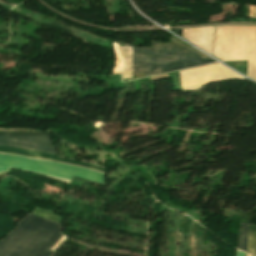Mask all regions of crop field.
Masks as SVG:
<instances>
[{
    "mask_svg": "<svg viewBox=\"0 0 256 256\" xmlns=\"http://www.w3.org/2000/svg\"><path fill=\"white\" fill-rule=\"evenodd\" d=\"M236 256H244V253L238 250Z\"/></svg>",
    "mask_w": 256,
    "mask_h": 256,
    "instance_id": "d8731c3e",
    "label": "crop field"
},
{
    "mask_svg": "<svg viewBox=\"0 0 256 256\" xmlns=\"http://www.w3.org/2000/svg\"><path fill=\"white\" fill-rule=\"evenodd\" d=\"M248 224L241 223L237 248L246 252Z\"/></svg>",
    "mask_w": 256,
    "mask_h": 256,
    "instance_id": "e52e79f7",
    "label": "crop field"
},
{
    "mask_svg": "<svg viewBox=\"0 0 256 256\" xmlns=\"http://www.w3.org/2000/svg\"><path fill=\"white\" fill-rule=\"evenodd\" d=\"M66 239L60 224L30 214L0 240V256H52Z\"/></svg>",
    "mask_w": 256,
    "mask_h": 256,
    "instance_id": "8a807250",
    "label": "crop field"
},
{
    "mask_svg": "<svg viewBox=\"0 0 256 256\" xmlns=\"http://www.w3.org/2000/svg\"><path fill=\"white\" fill-rule=\"evenodd\" d=\"M0 145L54 153V146L50 140L49 131L39 133H10L0 132ZM0 153L15 154L19 156L33 157V158H45L57 162L69 163L85 168L105 172V168H101L95 165L73 161L69 159L59 158L53 154L11 148L0 146Z\"/></svg>",
    "mask_w": 256,
    "mask_h": 256,
    "instance_id": "34b2d1b8",
    "label": "crop field"
},
{
    "mask_svg": "<svg viewBox=\"0 0 256 256\" xmlns=\"http://www.w3.org/2000/svg\"><path fill=\"white\" fill-rule=\"evenodd\" d=\"M247 252L256 255V225L249 224Z\"/></svg>",
    "mask_w": 256,
    "mask_h": 256,
    "instance_id": "dd49c442",
    "label": "crop field"
},
{
    "mask_svg": "<svg viewBox=\"0 0 256 256\" xmlns=\"http://www.w3.org/2000/svg\"><path fill=\"white\" fill-rule=\"evenodd\" d=\"M245 256H250V255H248V254L245 253Z\"/></svg>",
    "mask_w": 256,
    "mask_h": 256,
    "instance_id": "5a996713",
    "label": "crop field"
},
{
    "mask_svg": "<svg viewBox=\"0 0 256 256\" xmlns=\"http://www.w3.org/2000/svg\"><path fill=\"white\" fill-rule=\"evenodd\" d=\"M209 62L214 61L193 49L157 42L152 48L132 47V72L137 73L156 75Z\"/></svg>",
    "mask_w": 256,
    "mask_h": 256,
    "instance_id": "ac0d7876",
    "label": "crop field"
},
{
    "mask_svg": "<svg viewBox=\"0 0 256 256\" xmlns=\"http://www.w3.org/2000/svg\"><path fill=\"white\" fill-rule=\"evenodd\" d=\"M182 88L206 82L243 78L220 63L179 72Z\"/></svg>",
    "mask_w": 256,
    "mask_h": 256,
    "instance_id": "f4fd0767",
    "label": "crop field"
},
{
    "mask_svg": "<svg viewBox=\"0 0 256 256\" xmlns=\"http://www.w3.org/2000/svg\"><path fill=\"white\" fill-rule=\"evenodd\" d=\"M8 166L69 180L75 176L105 185L103 173L43 160L0 155V170L6 171Z\"/></svg>",
    "mask_w": 256,
    "mask_h": 256,
    "instance_id": "412701ff",
    "label": "crop field"
}]
</instances>
